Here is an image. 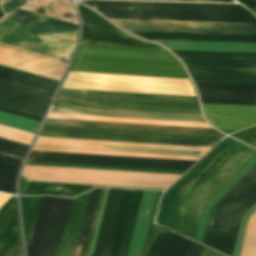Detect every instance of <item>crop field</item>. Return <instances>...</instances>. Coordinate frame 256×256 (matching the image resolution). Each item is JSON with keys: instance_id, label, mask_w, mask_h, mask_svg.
<instances>
[{"instance_id": "crop-field-1", "label": "crop field", "mask_w": 256, "mask_h": 256, "mask_svg": "<svg viewBox=\"0 0 256 256\" xmlns=\"http://www.w3.org/2000/svg\"><path fill=\"white\" fill-rule=\"evenodd\" d=\"M77 32L76 25L18 9L0 20V48L54 60L64 57L68 62L76 44ZM5 51H0V65L3 66L58 81L65 68L61 63L52 62L54 60Z\"/></svg>"}, {"instance_id": "crop-field-2", "label": "crop field", "mask_w": 256, "mask_h": 256, "mask_svg": "<svg viewBox=\"0 0 256 256\" xmlns=\"http://www.w3.org/2000/svg\"><path fill=\"white\" fill-rule=\"evenodd\" d=\"M231 147L232 149L226 153L198 183L188 189ZM236 149L238 150L199 187V185ZM255 154V150L230 138L223 140L176 185L165 193L157 222L194 240L203 206Z\"/></svg>"}, {"instance_id": "crop-field-3", "label": "crop field", "mask_w": 256, "mask_h": 256, "mask_svg": "<svg viewBox=\"0 0 256 256\" xmlns=\"http://www.w3.org/2000/svg\"><path fill=\"white\" fill-rule=\"evenodd\" d=\"M38 136L213 147L223 136L43 125ZM34 145L203 155L210 148L45 138Z\"/></svg>"}, {"instance_id": "crop-field-4", "label": "crop field", "mask_w": 256, "mask_h": 256, "mask_svg": "<svg viewBox=\"0 0 256 256\" xmlns=\"http://www.w3.org/2000/svg\"><path fill=\"white\" fill-rule=\"evenodd\" d=\"M69 70L188 77L165 49L80 44Z\"/></svg>"}, {"instance_id": "crop-field-5", "label": "crop field", "mask_w": 256, "mask_h": 256, "mask_svg": "<svg viewBox=\"0 0 256 256\" xmlns=\"http://www.w3.org/2000/svg\"><path fill=\"white\" fill-rule=\"evenodd\" d=\"M49 113L205 122L202 115L52 106ZM48 114L47 117L211 128L206 123ZM46 118L44 124L222 135L213 129Z\"/></svg>"}, {"instance_id": "crop-field-6", "label": "crop field", "mask_w": 256, "mask_h": 256, "mask_svg": "<svg viewBox=\"0 0 256 256\" xmlns=\"http://www.w3.org/2000/svg\"><path fill=\"white\" fill-rule=\"evenodd\" d=\"M81 2L88 4L89 6L246 10L240 5L99 2V1H81ZM92 8L98 10L100 13H102L108 18L256 22V17L250 11L109 8V7H92Z\"/></svg>"}, {"instance_id": "crop-field-7", "label": "crop field", "mask_w": 256, "mask_h": 256, "mask_svg": "<svg viewBox=\"0 0 256 256\" xmlns=\"http://www.w3.org/2000/svg\"><path fill=\"white\" fill-rule=\"evenodd\" d=\"M256 203V165L212 208L204 245L232 256L242 216Z\"/></svg>"}, {"instance_id": "crop-field-8", "label": "crop field", "mask_w": 256, "mask_h": 256, "mask_svg": "<svg viewBox=\"0 0 256 256\" xmlns=\"http://www.w3.org/2000/svg\"><path fill=\"white\" fill-rule=\"evenodd\" d=\"M27 181L166 189L181 175L25 166Z\"/></svg>"}, {"instance_id": "crop-field-9", "label": "crop field", "mask_w": 256, "mask_h": 256, "mask_svg": "<svg viewBox=\"0 0 256 256\" xmlns=\"http://www.w3.org/2000/svg\"><path fill=\"white\" fill-rule=\"evenodd\" d=\"M193 80L256 82V53L172 51Z\"/></svg>"}, {"instance_id": "crop-field-10", "label": "crop field", "mask_w": 256, "mask_h": 256, "mask_svg": "<svg viewBox=\"0 0 256 256\" xmlns=\"http://www.w3.org/2000/svg\"><path fill=\"white\" fill-rule=\"evenodd\" d=\"M71 199L44 196L41 199L27 256H53L62 237Z\"/></svg>"}, {"instance_id": "crop-field-11", "label": "crop field", "mask_w": 256, "mask_h": 256, "mask_svg": "<svg viewBox=\"0 0 256 256\" xmlns=\"http://www.w3.org/2000/svg\"><path fill=\"white\" fill-rule=\"evenodd\" d=\"M27 161L188 170L196 161L31 151Z\"/></svg>"}, {"instance_id": "crop-field-12", "label": "crop field", "mask_w": 256, "mask_h": 256, "mask_svg": "<svg viewBox=\"0 0 256 256\" xmlns=\"http://www.w3.org/2000/svg\"><path fill=\"white\" fill-rule=\"evenodd\" d=\"M55 100L199 109L196 98L67 89Z\"/></svg>"}, {"instance_id": "crop-field-13", "label": "crop field", "mask_w": 256, "mask_h": 256, "mask_svg": "<svg viewBox=\"0 0 256 256\" xmlns=\"http://www.w3.org/2000/svg\"><path fill=\"white\" fill-rule=\"evenodd\" d=\"M111 20L127 31L256 34V23Z\"/></svg>"}, {"instance_id": "crop-field-14", "label": "crop field", "mask_w": 256, "mask_h": 256, "mask_svg": "<svg viewBox=\"0 0 256 256\" xmlns=\"http://www.w3.org/2000/svg\"><path fill=\"white\" fill-rule=\"evenodd\" d=\"M77 6L82 22L80 43L162 48L152 43L140 41L124 33L86 7L80 4H77Z\"/></svg>"}, {"instance_id": "crop-field-15", "label": "crop field", "mask_w": 256, "mask_h": 256, "mask_svg": "<svg viewBox=\"0 0 256 256\" xmlns=\"http://www.w3.org/2000/svg\"><path fill=\"white\" fill-rule=\"evenodd\" d=\"M49 96L43 98V96ZM53 94L0 79V105L43 116Z\"/></svg>"}, {"instance_id": "crop-field-16", "label": "crop field", "mask_w": 256, "mask_h": 256, "mask_svg": "<svg viewBox=\"0 0 256 256\" xmlns=\"http://www.w3.org/2000/svg\"><path fill=\"white\" fill-rule=\"evenodd\" d=\"M202 103L256 105V84L195 82Z\"/></svg>"}, {"instance_id": "crop-field-17", "label": "crop field", "mask_w": 256, "mask_h": 256, "mask_svg": "<svg viewBox=\"0 0 256 256\" xmlns=\"http://www.w3.org/2000/svg\"><path fill=\"white\" fill-rule=\"evenodd\" d=\"M202 108L218 129H244L256 124V106L202 104Z\"/></svg>"}, {"instance_id": "crop-field-18", "label": "crop field", "mask_w": 256, "mask_h": 256, "mask_svg": "<svg viewBox=\"0 0 256 256\" xmlns=\"http://www.w3.org/2000/svg\"><path fill=\"white\" fill-rule=\"evenodd\" d=\"M157 191L143 190L127 256H140Z\"/></svg>"}, {"instance_id": "crop-field-19", "label": "crop field", "mask_w": 256, "mask_h": 256, "mask_svg": "<svg viewBox=\"0 0 256 256\" xmlns=\"http://www.w3.org/2000/svg\"><path fill=\"white\" fill-rule=\"evenodd\" d=\"M123 189L110 188L95 250L92 256H105L114 227Z\"/></svg>"}, {"instance_id": "crop-field-20", "label": "crop field", "mask_w": 256, "mask_h": 256, "mask_svg": "<svg viewBox=\"0 0 256 256\" xmlns=\"http://www.w3.org/2000/svg\"><path fill=\"white\" fill-rule=\"evenodd\" d=\"M87 194L88 192L79 197H76L75 199H72L61 245L55 256H70L72 253L75 246Z\"/></svg>"}, {"instance_id": "crop-field-21", "label": "crop field", "mask_w": 256, "mask_h": 256, "mask_svg": "<svg viewBox=\"0 0 256 256\" xmlns=\"http://www.w3.org/2000/svg\"><path fill=\"white\" fill-rule=\"evenodd\" d=\"M20 238L15 197L0 208V256Z\"/></svg>"}, {"instance_id": "crop-field-22", "label": "crop field", "mask_w": 256, "mask_h": 256, "mask_svg": "<svg viewBox=\"0 0 256 256\" xmlns=\"http://www.w3.org/2000/svg\"><path fill=\"white\" fill-rule=\"evenodd\" d=\"M145 39L162 40H192V41H222V42H252L256 43V35L230 34H197V33H154L131 32Z\"/></svg>"}, {"instance_id": "crop-field-23", "label": "crop field", "mask_w": 256, "mask_h": 256, "mask_svg": "<svg viewBox=\"0 0 256 256\" xmlns=\"http://www.w3.org/2000/svg\"><path fill=\"white\" fill-rule=\"evenodd\" d=\"M156 42L166 45L167 48H169L170 50L256 52V44H248V43H208V42H168V41H156Z\"/></svg>"}, {"instance_id": "crop-field-24", "label": "crop field", "mask_w": 256, "mask_h": 256, "mask_svg": "<svg viewBox=\"0 0 256 256\" xmlns=\"http://www.w3.org/2000/svg\"><path fill=\"white\" fill-rule=\"evenodd\" d=\"M256 164V155L204 206L196 241L202 243L211 208Z\"/></svg>"}, {"instance_id": "crop-field-25", "label": "crop field", "mask_w": 256, "mask_h": 256, "mask_svg": "<svg viewBox=\"0 0 256 256\" xmlns=\"http://www.w3.org/2000/svg\"><path fill=\"white\" fill-rule=\"evenodd\" d=\"M91 186L64 185V184H39L20 182V194H55L73 196L81 193Z\"/></svg>"}, {"instance_id": "crop-field-26", "label": "crop field", "mask_w": 256, "mask_h": 256, "mask_svg": "<svg viewBox=\"0 0 256 256\" xmlns=\"http://www.w3.org/2000/svg\"><path fill=\"white\" fill-rule=\"evenodd\" d=\"M134 190L124 189L108 255L117 256Z\"/></svg>"}, {"instance_id": "crop-field-27", "label": "crop field", "mask_w": 256, "mask_h": 256, "mask_svg": "<svg viewBox=\"0 0 256 256\" xmlns=\"http://www.w3.org/2000/svg\"><path fill=\"white\" fill-rule=\"evenodd\" d=\"M0 78L13 81L16 83L28 85L31 87L47 90L52 93L54 92L58 84L57 82H53V81H49L39 77L24 74L21 72L13 71L3 67H0Z\"/></svg>"}, {"instance_id": "crop-field-28", "label": "crop field", "mask_w": 256, "mask_h": 256, "mask_svg": "<svg viewBox=\"0 0 256 256\" xmlns=\"http://www.w3.org/2000/svg\"><path fill=\"white\" fill-rule=\"evenodd\" d=\"M20 160L0 154V189L15 194V179Z\"/></svg>"}, {"instance_id": "crop-field-29", "label": "crop field", "mask_w": 256, "mask_h": 256, "mask_svg": "<svg viewBox=\"0 0 256 256\" xmlns=\"http://www.w3.org/2000/svg\"><path fill=\"white\" fill-rule=\"evenodd\" d=\"M41 197H20L26 246L30 241Z\"/></svg>"}, {"instance_id": "crop-field-30", "label": "crop field", "mask_w": 256, "mask_h": 256, "mask_svg": "<svg viewBox=\"0 0 256 256\" xmlns=\"http://www.w3.org/2000/svg\"><path fill=\"white\" fill-rule=\"evenodd\" d=\"M98 190H99V188H96V189L90 191V196H89V200H88V203L86 206V210H85L77 246H76V249L72 256H81L84 251L87 234H88V230H89V226H90V222H91V218H92V214H93V210H94V206H95V202H96V198H97V194H98Z\"/></svg>"}, {"instance_id": "crop-field-31", "label": "crop field", "mask_w": 256, "mask_h": 256, "mask_svg": "<svg viewBox=\"0 0 256 256\" xmlns=\"http://www.w3.org/2000/svg\"><path fill=\"white\" fill-rule=\"evenodd\" d=\"M33 150L198 160L201 157L34 147Z\"/></svg>"}, {"instance_id": "crop-field-32", "label": "crop field", "mask_w": 256, "mask_h": 256, "mask_svg": "<svg viewBox=\"0 0 256 256\" xmlns=\"http://www.w3.org/2000/svg\"><path fill=\"white\" fill-rule=\"evenodd\" d=\"M39 123V121L0 111V124L4 126L34 134Z\"/></svg>"}, {"instance_id": "crop-field-33", "label": "crop field", "mask_w": 256, "mask_h": 256, "mask_svg": "<svg viewBox=\"0 0 256 256\" xmlns=\"http://www.w3.org/2000/svg\"><path fill=\"white\" fill-rule=\"evenodd\" d=\"M191 240L172 233L160 256H183Z\"/></svg>"}, {"instance_id": "crop-field-34", "label": "crop field", "mask_w": 256, "mask_h": 256, "mask_svg": "<svg viewBox=\"0 0 256 256\" xmlns=\"http://www.w3.org/2000/svg\"><path fill=\"white\" fill-rule=\"evenodd\" d=\"M141 191L142 190H135V192H134V196H133V200H132V204H131V208H130V212H129V216H128L129 220L134 221V219H135V215H136V211H137ZM132 227H133V223L127 221L118 256H125L126 255V251H127V247H128Z\"/></svg>"}, {"instance_id": "crop-field-35", "label": "crop field", "mask_w": 256, "mask_h": 256, "mask_svg": "<svg viewBox=\"0 0 256 256\" xmlns=\"http://www.w3.org/2000/svg\"><path fill=\"white\" fill-rule=\"evenodd\" d=\"M54 104L200 113L199 110H191V109H175V108H159V107H143V106H127V105H111V104H95V103H79V102H63V101H55Z\"/></svg>"}, {"instance_id": "crop-field-36", "label": "crop field", "mask_w": 256, "mask_h": 256, "mask_svg": "<svg viewBox=\"0 0 256 256\" xmlns=\"http://www.w3.org/2000/svg\"><path fill=\"white\" fill-rule=\"evenodd\" d=\"M240 256H256V213L249 220Z\"/></svg>"}, {"instance_id": "crop-field-37", "label": "crop field", "mask_w": 256, "mask_h": 256, "mask_svg": "<svg viewBox=\"0 0 256 256\" xmlns=\"http://www.w3.org/2000/svg\"><path fill=\"white\" fill-rule=\"evenodd\" d=\"M171 233L172 232L161 227V229L158 231V233L155 235V237L150 242L144 256H159L164 245L166 244L167 240L169 239Z\"/></svg>"}, {"instance_id": "crop-field-38", "label": "crop field", "mask_w": 256, "mask_h": 256, "mask_svg": "<svg viewBox=\"0 0 256 256\" xmlns=\"http://www.w3.org/2000/svg\"><path fill=\"white\" fill-rule=\"evenodd\" d=\"M71 11H75V9L70 6L56 3V4L46 8L45 10L39 12V14L47 15L51 18H55L58 20H62V21L77 25L76 16L64 19L63 15H62L63 13L71 12Z\"/></svg>"}, {"instance_id": "crop-field-39", "label": "crop field", "mask_w": 256, "mask_h": 256, "mask_svg": "<svg viewBox=\"0 0 256 256\" xmlns=\"http://www.w3.org/2000/svg\"><path fill=\"white\" fill-rule=\"evenodd\" d=\"M28 145L0 138V152L23 158Z\"/></svg>"}, {"instance_id": "crop-field-40", "label": "crop field", "mask_w": 256, "mask_h": 256, "mask_svg": "<svg viewBox=\"0 0 256 256\" xmlns=\"http://www.w3.org/2000/svg\"><path fill=\"white\" fill-rule=\"evenodd\" d=\"M33 134H29L26 132L18 131L15 129H11L8 127L0 126V137L10 139L13 141L21 142L24 144H30Z\"/></svg>"}, {"instance_id": "crop-field-41", "label": "crop field", "mask_w": 256, "mask_h": 256, "mask_svg": "<svg viewBox=\"0 0 256 256\" xmlns=\"http://www.w3.org/2000/svg\"><path fill=\"white\" fill-rule=\"evenodd\" d=\"M104 189L105 188H100V190H99V194H98V198H97V202H96V206H95V211H94V215H93V219H92V223H91V227H90V232H89L86 248H85V251H84L82 256H87V254L89 252V249H90V245H91V241H92V237H93V233H94V229H95V225H96V221H97V217H98V213H99V209H100Z\"/></svg>"}, {"instance_id": "crop-field-42", "label": "crop field", "mask_w": 256, "mask_h": 256, "mask_svg": "<svg viewBox=\"0 0 256 256\" xmlns=\"http://www.w3.org/2000/svg\"><path fill=\"white\" fill-rule=\"evenodd\" d=\"M233 137H236V138L256 147V127L251 130L235 134V135H233Z\"/></svg>"}, {"instance_id": "crop-field-43", "label": "crop field", "mask_w": 256, "mask_h": 256, "mask_svg": "<svg viewBox=\"0 0 256 256\" xmlns=\"http://www.w3.org/2000/svg\"><path fill=\"white\" fill-rule=\"evenodd\" d=\"M24 3H26L24 0H9L2 4L1 8L4 10L5 13H8Z\"/></svg>"}, {"instance_id": "crop-field-44", "label": "crop field", "mask_w": 256, "mask_h": 256, "mask_svg": "<svg viewBox=\"0 0 256 256\" xmlns=\"http://www.w3.org/2000/svg\"><path fill=\"white\" fill-rule=\"evenodd\" d=\"M203 249V246L192 241L190 247L188 248L184 256H199Z\"/></svg>"}, {"instance_id": "crop-field-45", "label": "crop field", "mask_w": 256, "mask_h": 256, "mask_svg": "<svg viewBox=\"0 0 256 256\" xmlns=\"http://www.w3.org/2000/svg\"><path fill=\"white\" fill-rule=\"evenodd\" d=\"M5 256H23L21 240Z\"/></svg>"}, {"instance_id": "crop-field-46", "label": "crop field", "mask_w": 256, "mask_h": 256, "mask_svg": "<svg viewBox=\"0 0 256 256\" xmlns=\"http://www.w3.org/2000/svg\"><path fill=\"white\" fill-rule=\"evenodd\" d=\"M0 110L41 121V118H37V117H33V116L26 115V114H23V113L15 112V111L8 110V109H5V108L0 107Z\"/></svg>"}, {"instance_id": "crop-field-47", "label": "crop field", "mask_w": 256, "mask_h": 256, "mask_svg": "<svg viewBox=\"0 0 256 256\" xmlns=\"http://www.w3.org/2000/svg\"><path fill=\"white\" fill-rule=\"evenodd\" d=\"M12 195H7L0 193V207L11 197Z\"/></svg>"}, {"instance_id": "crop-field-48", "label": "crop field", "mask_w": 256, "mask_h": 256, "mask_svg": "<svg viewBox=\"0 0 256 256\" xmlns=\"http://www.w3.org/2000/svg\"><path fill=\"white\" fill-rule=\"evenodd\" d=\"M181 1H214V2H234L233 0H181Z\"/></svg>"}, {"instance_id": "crop-field-49", "label": "crop field", "mask_w": 256, "mask_h": 256, "mask_svg": "<svg viewBox=\"0 0 256 256\" xmlns=\"http://www.w3.org/2000/svg\"><path fill=\"white\" fill-rule=\"evenodd\" d=\"M68 73H69V71L67 72V74H66V76H65V79H66V77H67V75H68ZM65 79H64V81H65ZM189 80V79H188ZM64 81H63V83H64ZM190 82V81H189ZM63 83H62V85H63ZM191 84V83H190ZM62 85H61V87H62ZM192 86V85H191ZM193 88V87H192Z\"/></svg>"}, {"instance_id": "crop-field-50", "label": "crop field", "mask_w": 256, "mask_h": 256, "mask_svg": "<svg viewBox=\"0 0 256 256\" xmlns=\"http://www.w3.org/2000/svg\"><path fill=\"white\" fill-rule=\"evenodd\" d=\"M4 13L0 10V18L3 17Z\"/></svg>"}, {"instance_id": "crop-field-51", "label": "crop field", "mask_w": 256, "mask_h": 256, "mask_svg": "<svg viewBox=\"0 0 256 256\" xmlns=\"http://www.w3.org/2000/svg\"><path fill=\"white\" fill-rule=\"evenodd\" d=\"M254 12H256V6L255 7H253V8H251Z\"/></svg>"}, {"instance_id": "crop-field-52", "label": "crop field", "mask_w": 256, "mask_h": 256, "mask_svg": "<svg viewBox=\"0 0 256 256\" xmlns=\"http://www.w3.org/2000/svg\"><path fill=\"white\" fill-rule=\"evenodd\" d=\"M256 2V0H254Z\"/></svg>"}]
</instances>
